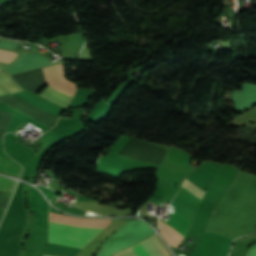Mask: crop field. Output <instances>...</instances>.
I'll use <instances>...</instances> for the list:
<instances>
[{"label": "crop field", "instance_id": "obj_7", "mask_svg": "<svg viewBox=\"0 0 256 256\" xmlns=\"http://www.w3.org/2000/svg\"><path fill=\"white\" fill-rule=\"evenodd\" d=\"M131 249L136 254V256H149L145 249L143 248V246L141 245V243L132 246Z\"/></svg>", "mask_w": 256, "mask_h": 256}, {"label": "crop field", "instance_id": "obj_4", "mask_svg": "<svg viewBox=\"0 0 256 256\" xmlns=\"http://www.w3.org/2000/svg\"><path fill=\"white\" fill-rule=\"evenodd\" d=\"M0 85L8 94L23 91L20 85L2 68H0Z\"/></svg>", "mask_w": 256, "mask_h": 256}, {"label": "crop field", "instance_id": "obj_1", "mask_svg": "<svg viewBox=\"0 0 256 256\" xmlns=\"http://www.w3.org/2000/svg\"><path fill=\"white\" fill-rule=\"evenodd\" d=\"M102 229L104 228L72 226L50 221L49 242L83 248Z\"/></svg>", "mask_w": 256, "mask_h": 256}, {"label": "crop field", "instance_id": "obj_5", "mask_svg": "<svg viewBox=\"0 0 256 256\" xmlns=\"http://www.w3.org/2000/svg\"><path fill=\"white\" fill-rule=\"evenodd\" d=\"M0 170L19 176L22 168L16 162L0 157Z\"/></svg>", "mask_w": 256, "mask_h": 256}, {"label": "crop field", "instance_id": "obj_2", "mask_svg": "<svg viewBox=\"0 0 256 256\" xmlns=\"http://www.w3.org/2000/svg\"><path fill=\"white\" fill-rule=\"evenodd\" d=\"M50 102H53L63 108H66L71 96L60 92L50 86L47 87V89L42 93V95L40 96Z\"/></svg>", "mask_w": 256, "mask_h": 256}, {"label": "crop field", "instance_id": "obj_8", "mask_svg": "<svg viewBox=\"0 0 256 256\" xmlns=\"http://www.w3.org/2000/svg\"><path fill=\"white\" fill-rule=\"evenodd\" d=\"M16 55L17 54H15V53H11V52L0 50V60L1 61L8 62L11 59H13L14 57H16Z\"/></svg>", "mask_w": 256, "mask_h": 256}, {"label": "crop field", "instance_id": "obj_6", "mask_svg": "<svg viewBox=\"0 0 256 256\" xmlns=\"http://www.w3.org/2000/svg\"><path fill=\"white\" fill-rule=\"evenodd\" d=\"M17 181L0 177V190L12 193ZM4 210L0 209V218Z\"/></svg>", "mask_w": 256, "mask_h": 256}, {"label": "crop field", "instance_id": "obj_3", "mask_svg": "<svg viewBox=\"0 0 256 256\" xmlns=\"http://www.w3.org/2000/svg\"><path fill=\"white\" fill-rule=\"evenodd\" d=\"M170 217H172L171 219H169L168 221H166L176 232H178L181 236L184 237V235L187 233L189 226H190V222L187 221L183 216H181L178 212L175 211V213L173 215H171ZM166 222H164L165 224H167ZM167 224V225H168ZM168 225V226H169ZM169 226V227H170Z\"/></svg>", "mask_w": 256, "mask_h": 256}, {"label": "crop field", "instance_id": "obj_9", "mask_svg": "<svg viewBox=\"0 0 256 256\" xmlns=\"http://www.w3.org/2000/svg\"><path fill=\"white\" fill-rule=\"evenodd\" d=\"M7 93L0 87V96L6 95Z\"/></svg>", "mask_w": 256, "mask_h": 256}]
</instances>
